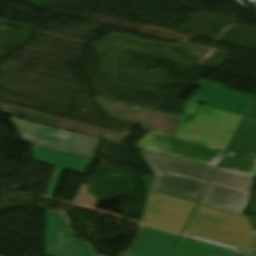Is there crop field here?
<instances>
[{
    "label": "crop field",
    "instance_id": "obj_12",
    "mask_svg": "<svg viewBox=\"0 0 256 256\" xmlns=\"http://www.w3.org/2000/svg\"><path fill=\"white\" fill-rule=\"evenodd\" d=\"M211 182L238 188L249 192H252L254 188L253 179L219 170H216L215 174L211 179Z\"/></svg>",
    "mask_w": 256,
    "mask_h": 256
},
{
    "label": "crop field",
    "instance_id": "obj_6",
    "mask_svg": "<svg viewBox=\"0 0 256 256\" xmlns=\"http://www.w3.org/2000/svg\"><path fill=\"white\" fill-rule=\"evenodd\" d=\"M23 141L93 160L101 140L10 117Z\"/></svg>",
    "mask_w": 256,
    "mask_h": 256
},
{
    "label": "crop field",
    "instance_id": "obj_5",
    "mask_svg": "<svg viewBox=\"0 0 256 256\" xmlns=\"http://www.w3.org/2000/svg\"><path fill=\"white\" fill-rule=\"evenodd\" d=\"M242 118L188 102L176 135L227 148Z\"/></svg>",
    "mask_w": 256,
    "mask_h": 256
},
{
    "label": "crop field",
    "instance_id": "obj_9",
    "mask_svg": "<svg viewBox=\"0 0 256 256\" xmlns=\"http://www.w3.org/2000/svg\"><path fill=\"white\" fill-rule=\"evenodd\" d=\"M32 147L36 161L56 165L46 194L50 198H52L55 192L62 168L85 173L92 163L91 160L56 152L40 146L32 145Z\"/></svg>",
    "mask_w": 256,
    "mask_h": 256
},
{
    "label": "crop field",
    "instance_id": "obj_10",
    "mask_svg": "<svg viewBox=\"0 0 256 256\" xmlns=\"http://www.w3.org/2000/svg\"><path fill=\"white\" fill-rule=\"evenodd\" d=\"M249 199L248 193L209 183L199 203L243 215Z\"/></svg>",
    "mask_w": 256,
    "mask_h": 256
},
{
    "label": "crop field",
    "instance_id": "obj_2",
    "mask_svg": "<svg viewBox=\"0 0 256 256\" xmlns=\"http://www.w3.org/2000/svg\"><path fill=\"white\" fill-rule=\"evenodd\" d=\"M178 235L140 225L130 249L122 256H168ZM48 256H97L90 243L73 238L66 212L48 210Z\"/></svg>",
    "mask_w": 256,
    "mask_h": 256
},
{
    "label": "crop field",
    "instance_id": "obj_3",
    "mask_svg": "<svg viewBox=\"0 0 256 256\" xmlns=\"http://www.w3.org/2000/svg\"><path fill=\"white\" fill-rule=\"evenodd\" d=\"M249 217L198 204L183 235L256 254V233Z\"/></svg>",
    "mask_w": 256,
    "mask_h": 256
},
{
    "label": "crop field",
    "instance_id": "obj_1",
    "mask_svg": "<svg viewBox=\"0 0 256 256\" xmlns=\"http://www.w3.org/2000/svg\"><path fill=\"white\" fill-rule=\"evenodd\" d=\"M135 147L215 169L226 150L154 131L149 132ZM218 169L251 178L256 176V119L245 117Z\"/></svg>",
    "mask_w": 256,
    "mask_h": 256
},
{
    "label": "crop field",
    "instance_id": "obj_8",
    "mask_svg": "<svg viewBox=\"0 0 256 256\" xmlns=\"http://www.w3.org/2000/svg\"><path fill=\"white\" fill-rule=\"evenodd\" d=\"M201 88L188 100L245 115L255 96L225 89L223 84L201 79Z\"/></svg>",
    "mask_w": 256,
    "mask_h": 256
},
{
    "label": "crop field",
    "instance_id": "obj_4",
    "mask_svg": "<svg viewBox=\"0 0 256 256\" xmlns=\"http://www.w3.org/2000/svg\"><path fill=\"white\" fill-rule=\"evenodd\" d=\"M153 174L150 190L198 202L215 169L160 154L140 151Z\"/></svg>",
    "mask_w": 256,
    "mask_h": 256
},
{
    "label": "crop field",
    "instance_id": "obj_7",
    "mask_svg": "<svg viewBox=\"0 0 256 256\" xmlns=\"http://www.w3.org/2000/svg\"><path fill=\"white\" fill-rule=\"evenodd\" d=\"M196 204L148 191L144 215L139 222L180 234Z\"/></svg>",
    "mask_w": 256,
    "mask_h": 256
},
{
    "label": "crop field",
    "instance_id": "obj_11",
    "mask_svg": "<svg viewBox=\"0 0 256 256\" xmlns=\"http://www.w3.org/2000/svg\"><path fill=\"white\" fill-rule=\"evenodd\" d=\"M171 256H249L181 236Z\"/></svg>",
    "mask_w": 256,
    "mask_h": 256
},
{
    "label": "crop field",
    "instance_id": "obj_13",
    "mask_svg": "<svg viewBox=\"0 0 256 256\" xmlns=\"http://www.w3.org/2000/svg\"><path fill=\"white\" fill-rule=\"evenodd\" d=\"M246 116L256 118V98Z\"/></svg>",
    "mask_w": 256,
    "mask_h": 256
}]
</instances>
